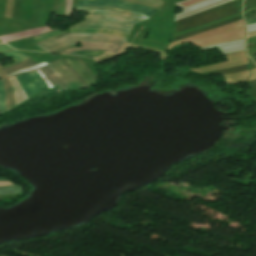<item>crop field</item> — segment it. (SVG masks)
I'll return each instance as SVG.
<instances>
[{"instance_id":"crop-field-10","label":"crop field","mask_w":256,"mask_h":256,"mask_svg":"<svg viewBox=\"0 0 256 256\" xmlns=\"http://www.w3.org/2000/svg\"><path fill=\"white\" fill-rule=\"evenodd\" d=\"M77 10H110V11L129 14V15H132V16L144 19V20L148 19V17L138 14V13H134V12H130V11H122L120 9H115V8H110V7H78Z\"/></svg>"},{"instance_id":"crop-field-23","label":"crop field","mask_w":256,"mask_h":256,"mask_svg":"<svg viewBox=\"0 0 256 256\" xmlns=\"http://www.w3.org/2000/svg\"><path fill=\"white\" fill-rule=\"evenodd\" d=\"M65 64L73 71V69L71 68V66L64 60L62 59ZM73 73L79 78V80L82 82V84L85 86V88H87L86 84L83 82V80L73 71Z\"/></svg>"},{"instance_id":"crop-field-26","label":"crop field","mask_w":256,"mask_h":256,"mask_svg":"<svg viewBox=\"0 0 256 256\" xmlns=\"http://www.w3.org/2000/svg\"><path fill=\"white\" fill-rule=\"evenodd\" d=\"M58 60H60V59H58ZM58 60H56V61H58ZM56 61H54V62H56ZM54 62H52V63H54ZM52 63H50V64H52ZM50 64H48V65H50ZM47 66V65H46ZM45 67V66H44ZM40 68V67H39ZM36 70H38V69H36ZM33 71H35V70H32V71H28V72H33ZM28 72H24V73H28ZM24 73H20V74H24ZM20 74H17V75H20ZM13 76H16V75H13ZM10 77H12V76H9L8 78H10Z\"/></svg>"},{"instance_id":"crop-field-18","label":"crop field","mask_w":256,"mask_h":256,"mask_svg":"<svg viewBox=\"0 0 256 256\" xmlns=\"http://www.w3.org/2000/svg\"><path fill=\"white\" fill-rule=\"evenodd\" d=\"M6 109L5 94L2 81L0 80V110Z\"/></svg>"},{"instance_id":"crop-field-15","label":"crop field","mask_w":256,"mask_h":256,"mask_svg":"<svg viewBox=\"0 0 256 256\" xmlns=\"http://www.w3.org/2000/svg\"><path fill=\"white\" fill-rule=\"evenodd\" d=\"M3 55H5L7 57H11V58L13 57V59L16 61V62H14L10 65L3 66V68L11 66L15 63H18V62L22 61V60L29 59V57H26V56L22 55L21 53L17 52L16 50H14L10 53L3 54Z\"/></svg>"},{"instance_id":"crop-field-9","label":"crop field","mask_w":256,"mask_h":256,"mask_svg":"<svg viewBox=\"0 0 256 256\" xmlns=\"http://www.w3.org/2000/svg\"><path fill=\"white\" fill-rule=\"evenodd\" d=\"M40 71L49 80L52 86L59 84L61 90H67L62 80L51 70L49 66L40 69Z\"/></svg>"},{"instance_id":"crop-field-28","label":"crop field","mask_w":256,"mask_h":256,"mask_svg":"<svg viewBox=\"0 0 256 256\" xmlns=\"http://www.w3.org/2000/svg\"><path fill=\"white\" fill-rule=\"evenodd\" d=\"M66 34V33H65ZM63 35V34H62ZM59 36H61V35H59ZM59 36H56V37H53V38H51V39H49V40H52V39H55V38H57V37H59ZM46 41H48V40H46ZM43 42H45V41H43ZM40 43H42V42H40ZM38 44V43H37Z\"/></svg>"},{"instance_id":"crop-field-20","label":"crop field","mask_w":256,"mask_h":256,"mask_svg":"<svg viewBox=\"0 0 256 256\" xmlns=\"http://www.w3.org/2000/svg\"><path fill=\"white\" fill-rule=\"evenodd\" d=\"M72 0H67L65 17H70Z\"/></svg>"},{"instance_id":"crop-field-17","label":"crop field","mask_w":256,"mask_h":256,"mask_svg":"<svg viewBox=\"0 0 256 256\" xmlns=\"http://www.w3.org/2000/svg\"><path fill=\"white\" fill-rule=\"evenodd\" d=\"M103 52L104 51H76V52L71 53V54H79V55H82V56L93 57V56L101 55Z\"/></svg>"},{"instance_id":"crop-field-27","label":"crop field","mask_w":256,"mask_h":256,"mask_svg":"<svg viewBox=\"0 0 256 256\" xmlns=\"http://www.w3.org/2000/svg\"><path fill=\"white\" fill-rule=\"evenodd\" d=\"M4 185H12V183H10V182H0V186H4Z\"/></svg>"},{"instance_id":"crop-field-6","label":"crop field","mask_w":256,"mask_h":256,"mask_svg":"<svg viewBox=\"0 0 256 256\" xmlns=\"http://www.w3.org/2000/svg\"><path fill=\"white\" fill-rule=\"evenodd\" d=\"M49 30H51V29L46 27V26H42V27L34 28V29H31V30H28V31H24V32L3 35V36H0V38L2 40H4L5 42H9V41L16 40V39H19V38H23V37H27V36H31V35H35V34H39V33H43V32H47Z\"/></svg>"},{"instance_id":"crop-field-2","label":"crop field","mask_w":256,"mask_h":256,"mask_svg":"<svg viewBox=\"0 0 256 256\" xmlns=\"http://www.w3.org/2000/svg\"><path fill=\"white\" fill-rule=\"evenodd\" d=\"M110 42L115 44H124L126 39L112 36L109 34H85V33H68L61 36L55 40L38 44L39 47L46 51H55L59 48L65 47L67 45L76 44L77 42Z\"/></svg>"},{"instance_id":"crop-field-3","label":"crop field","mask_w":256,"mask_h":256,"mask_svg":"<svg viewBox=\"0 0 256 256\" xmlns=\"http://www.w3.org/2000/svg\"><path fill=\"white\" fill-rule=\"evenodd\" d=\"M78 6H114L134 12H138L147 16L153 15L158 10L153 8L143 7L121 0H78Z\"/></svg>"},{"instance_id":"crop-field-16","label":"crop field","mask_w":256,"mask_h":256,"mask_svg":"<svg viewBox=\"0 0 256 256\" xmlns=\"http://www.w3.org/2000/svg\"><path fill=\"white\" fill-rule=\"evenodd\" d=\"M21 191H22V189L17 186L0 187V194L17 193V192H21Z\"/></svg>"},{"instance_id":"crop-field-4","label":"crop field","mask_w":256,"mask_h":256,"mask_svg":"<svg viewBox=\"0 0 256 256\" xmlns=\"http://www.w3.org/2000/svg\"><path fill=\"white\" fill-rule=\"evenodd\" d=\"M16 77L21 83V86L24 89L27 96L39 90L48 88V85L41 79L37 71Z\"/></svg>"},{"instance_id":"crop-field-22","label":"crop field","mask_w":256,"mask_h":256,"mask_svg":"<svg viewBox=\"0 0 256 256\" xmlns=\"http://www.w3.org/2000/svg\"><path fill=\"white\" fill-rule=\"evenodd\" d=\"M245 20H246V24L247 25L256 23V16H252V17L246 18Z\"/></svg>"},{"instance_id":"crop-field-24","label":"crop field","mask_w":256,"mask_h":256,"mask_svg":"<svg viewBox=\"0 0 256 256\" xmlns=\"http://www.w3.org/2000/svg\"><path fill=\"white\" fill-rule=\"evenodd\" d=\"M8 49H11V48L9 46H7V45H1L0 46V52L4 51V50H8Z\"/></svg>"},{"instance_id":"crop-field-12","label":"crop field","mask_w":256,"mask_h":256,"mask_svg":"<svg viewBox=\"0 0 256 256\" xmlns=\"http://www.w3.org/2000/svg\"><path fill=\"white\" fill-rule=\"evenodd\" d=\"M124 1L153 7V8L158 9V10L160 9V7L162 5L161 2H157V1H154V0H124ZM159 1H162V0H159Z\"/></svg>"},{"instance_id":"crop-field-11","label":"crop field","mask_w":256,"mask_h":256,"mask_svg":"<svg viewBox=\"0 0 256 256\" xmlns=\"http://www.w3.org/2000/svg\"><path fill=\"white\" fill-rule=\"evenodd\" d=\"M35 65H37V63H33L32 60L29 59V60H25V61H23V62H21L17 65L6 68L4 70H5V73L8 75V74H10L14 71L30 68V67H33Z\"/></svg>"},{"instance_id":"crop-field-14","label":"crop field","mask_w":256,"mask_h":256,"mask_svg":"<svg viewBox=\"0 0 256 256\" xmlns=\"http://www.w3.org/2000/svg\"><path fill=\"white\" fill-rule=\"evenodd\" d=\"M70 32H90V33H109L114 35H119L123 37H128V35L113 32V31H107V30H94V29H70Z\"/></svg>"},{"instance_id":"crop-field-19","label":"crop field","mask_w":256,"mask_h":256,"mask_svg":"<svg viewBox=\"0 0 256 256\" xmlns=\"http://www.w3.org/2000/svg\"><path fill=\"white\" fill-rule=\"evenodd\" d=\"M66 32H67V31H66ZM61 33H64V32H61V31L57 30V31L52 32V33H50V34H48V35L41 36V37H37V38H32V39H33V41H34L35 43H37V42L43 41V40H45V39L51 38V37H53V36L59 35V34H61Z\"/></svg>"},{"instance_id":"crop-field-5","label":"crop field","mask_w":256,"mask_h":256,"mask_svg":"<svg viewBox=\"0 0 256 256\" xmlns=\"http://www.w3.org/2000/svg\"><path fill=\"white\" fill-rule=\"evenodd\" d=\"M79 48L69 49L62 54H68L70 52H73L75 50H107V51H113L117 52L121 45H115V44H109V43H80Z\"/></svg>"},{"instance_id":"crop-field-29","label":"crop field","mask_w":256,"mask_h":256,"mask_svg":"<svg viewBox=\"0 0 256 256\" xmlns=\"http://www.w3.org/2000/svg\"><path fill=\"white\" fill-rule=\"evenodd\" d=\"M0 180H7V179H5V178H0ZM7 181H9V180H7Z\"/></svg>"},{"instance_id":"crop-field-25","label":"crop field","mask_w":256,"mask_h":256,"mask_svg":"<svg viewBox=\"0 0 256 256\" xmlns=\"http://www.w3.org/2000/svg\"><path fill=\"white\" fill-rule=\"evenodd\" d=\"M55 30H57V29H55ZM55 30H53V31H55ZM50 32H52V31H50ZM50 32H47V33H44V34H40V35H36V36H31V37L23 38V39H19V40H24V39H28V38H32V37H37V36L45 35V34H48V33H50ZM19 40H16V41H19ZM13 42H14V41H13ZM9 43H10V42H9Z\"/></svg>"},{"instance_id":"crop-field-1","label":"crop field","mask_w":256,"mask_h":256,"mask_svg":"<svg viewBox=\"0 0 256 256\" xmlns=\"http://www.w3.org/2000/svg\"><path fill=\"white\" fill-rule=\"evenodd\" d=\"M87 12L92 15H85V22H79L77 23L78 25H70V28L110 29L129 34L134 23L137 24L144 21L129 15L110 11Z\"/></svg>"},{"instance_id":"crop-field-13","label":"crop field","mask_w":256,"mask_h":256,"mask_svg":"<svg viewBox=\"0 0 256 256\" xmlns=\"http://www.w3.org/2000/svg\"><path fill=\"white\" fill-rule=\"evenodd\" d=\"M10 81L14 87V91H15V97H16V102L19 103L22 100H24L23 97V91L21 89V86L19 85L18 81L15 79V77L10 78Z\"/></svg>"},{"instance_id":"crop-field-7","label":"crop field","mask_w":256,"mask_h":256,"mask_svg":"<svg viewBox=\"0 0 256 256\" xmlns=\"http://www.w3.org/2000/svg\"><path fill=\"white\" fill-rule=\"evenodd\" d=\"M65 60L72 66L74 71L84 80L88 87L96 84L91 77L85 72V70L79 65V63L75 60L73 55L65 58Z\"/></svg>"},{"instance_id":"crop-field-21","label":"crop field","mask_w":256,"mask_h":256,"mask_svg":"<svg viewBox=\"0 0 256 256\" xmlns=\"http://www.w3.org/2000/svg\"><path fill=\"white\" fill-rule=\"evenodd\" d=\"M76 58V60L80 63V65L87 71V73L94 79V81L96 82V78L89 72V70L84 66V64L81 62V60L77 57L74 56Z\"/></svg>"},{"instance_id":"crop-field-8","label":"crop field","mask_w":256,"mask_h":256,"mask_svg":"<svg viewBox=\"0 0 256 256\" xmlns=\"http://www.w3.org/2000/svg\"><path fill=\"white\" fill-rule=\"evenodd\" d=\"M0 77L3 80L4 87H5V94H6V104L7 109L15 105L14 99V91L13 87L11 86L7 76L5 75L1 65H0Z\"/></svg>"}]
</instances>
